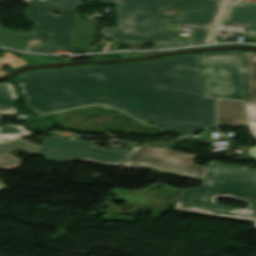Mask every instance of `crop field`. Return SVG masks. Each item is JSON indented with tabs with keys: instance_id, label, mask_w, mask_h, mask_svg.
Segmentation results:
<instances>
[{
	"instance_id": "1",
	"label": "crop field",
	"mask_w": 256,
	"mask_h": 256,
	"mask_svg": "<svg viewBox=\"0 0 256 256\" xmlns=\"http://www.w3.org/2000/svg\"><path fill=\"white\" fill-rule=\"evenodd\" d=\"M35 113L99 103L186 135L215 125L200 55L155 62L31 71L17 78Z\"/></svg>"
},
{
	"instance_id": "2",
	"label": "crop field",
	"mask_w": 256,
	"mask_h": 256,
	"mask_svg": "<svg viewBox=\"0 0 256 256\" xmlns=\"http://www.w3.org/2000/svg\"><path fill=\"white\" fill-rule=\"evenodd\" d=\"M59 8L76 10L81 0H43ZM116 4L119 26L106 28L105 35L116 42H154V48L185 44L164 29L159 17L165 7L180 10L167 13L166 20L211 26L221 0H99Z\"/></svg>"
},
{
	"instance_id": "3",
	"label": "crop field",
	"mask_w": 256,
	"mask_h": 256,
	"mask_svg": "<svg viewBox=\"0 0 256 256\" xmlns=\"http://www.w3.org/2000/svg\"><path fill=\"white\" fill-rule=\"evenodd\" d=\"M218 197L250 204L246 209L224 206L215 202ZM174 211L251 221L256 227V169L210 162L203 185L182 190Z\"/></svg>"
},
{
	"instance_id": "4",
	"label": "crop field",
	"mask_w": 256,
	"mask_h": 256,
	"mask_svg": "<svg viewBox=\"0 0 256 256\" xmlns=\"http://www.w3.org/2000/svg\"><path fill=\"white\" fill-rule=\"evenodd\" d=\"M207 96L245 101L247 73L243 51L201 54Z\"/></svg>"
},
{
	"instance_id": "5",
	"label": "crop field",
	"mask_w": 256,
	"mask_h": 256,
	"mask_svg": "<svg viewBox=\"0 0 256 256\" xmlns=\"http://www.w3.org/2000/svg\"><path fill=\"white\" fill-rule=\"evenodd\" d=\"M96 142L97 140L70 141L51 135L45 138L38 154L53 160H86L99 164L119 166L134 152L92 147Z\"/></svg>"
},
{
	"instance_id": "6",
	"label": "crop field",
	"mask_w": 256,
	"mask_h": 256,
	"mask_svg": "<svg viewBox=\"0 0 256 256\" xmlns=\"http://www.w3.org/2000/svg\"><path fill=\"white\" fill-rule=\"evenodd\" d=\"M143 152H146V154ZM193 157V155L168 151L164 148L144 146L123 166L154 169L201 181L207 167L193 164Z\"/></svg>"
},
{
	"instance_id": "7",
	"label": "crop field",
	"mask_w": 256,
	"mask_h": 256,
	"mask_svg": "<svg viewBox=\"0 0 256 256\" xmlns=\"http://www.w3.org/2000/svg\"><path fill=\"white\" fill-rule=\"evenodd\" d=\"M39 145L23 139L0 145V169H13L21 165V159L10 154L19 149L29 154L36 153ZM6 185L0 181V189Z\"/></svg>"
},
{
	"instance_id": "8",
	"label": "crop field",
	"mask_w": 256,
	"mask_h": 256,
	"mask_svg": "<svg viewBox=\"0 0 256 256\" xmlns=\"http://www.w3.org/2000/svg\"><path fill=\"white\" fill-rule=\"evenodd\" d=\"M219 125H247L244 102L218 100Z\"/></svg>"
},
{
	"instance_id": "9",
	"label": "crop field",
	"mask_w": 256,
	"mask_h": 256,
	"mask_svg": "<svg viewBox=\"0 0 256 256\" xmlns=\"http://www.w3.org/2000/svg\"><path fill=\"white\" fill-rule=\"evenodd\" d=\"M52 9L59 10L44 2L31 1L26 17L36 23L34 32H51L55 18L50 14Z\"/></svg>"
},
{
	"instance_id": "10",
	"label": "crop field",
	"mask_w": 256,
	"mask_h": 256,
	"mask_svg": "<svg viewBox=\"0 0 256 256\" xmlns=\"http://www.w3.org/2000/svg\"><path fill=\"white\" fill-rule=\"evenodd\" d=\"M223 24L245 25L247 32L256 34V5H235Z\"/></svg>"
},
{
	"instance_id": "11",
	"label": "crop field",
	"mask_w": 256,
	"mask_h": 256,
	"mask_svg": "<svg viewBox=\"0 0 256 256\" xmlns=\"http://www.w3.org/2000/svg\"><path fill=\"white\" fill-rule=\"evenodd\" d=\"M16 90L12 83L0 84V113L16 114Z\"/></svg>"
},
{
	"instance_id": "12",
	"label": "crop field",
	"mask_w": 256,
	"mask_h": 256,
	"mask_svg": "<svg viewBox=\"0 0 256 256\" xmlns=\"http://www.w3.org/2000/svg\"><path fill=\"white\" fill-rule=\"evenodd\" d=\"M249 70L248 99L256 103V52L246 51Z\"/></svg>"
},
{
	"instance_id": "13",
	"label": "crop field",
	"mask_w": 256,
	"mask_h": 256,
	"mask_svg": "<svg viewBox=\"0 0 256 256\" xmlns=\"http://www.w3.org/2000/svg\"><path fill=\"white\" fill-rule=\"evenodd\" d=\"M35 134L24 129V126L12 124L0 126V142Z\"/></svg>"
},
{
	"instance_id": "14",
	"label": "crop field",
	"mask_w": 256,
	"mask_h": 256,
	"mask_svg": "<svg viewBox=\"0 0 256 256\" xmlns=\"http://www.w3.org/2000/svg\"><path fill=\"white\" fill-rule=\"evenodd\" d=\"M74 11L63 10L61 16H56L53 31L56 33L70 32Z\"/></svg>"
},
{
	"instance_id": "15",
	"label": "crop field",
	"mask_w": 256,
	"mask_h": 256,
	"mask_svg": "<svg viewBox=\"0 0 256 256\" xmlns=\"http://www.w3.org/2000/svg\"><path fill=\"white\" fill-rule=\"evenodd\" d=\"M54 48L74 50L72 34H52Z\"/></svg>"
},
{
	"instance_id": "16",
	"label": "crop field",
	"mask_w": 256,
	"mask_h": 256,
	"mask_svg": "<svg viewBox=\"0 0 256 256\" xmlns=\"http://www.w3.org/2000/svg\"><path fill=\"white\" fill-rule=\"evenodd\" d=\"M30 38L44 39V41H43V44L41 47L29 46L28 50L41 51V52H52L53 51L51 34H32Z\"/></svg>"
},
{
	"instance_id": "17",
	"label": "crop field",
	"mask_w": 256,
	"mask_h": 256,
	"mask_svg": "<svg viewBox=\"0 0 256 256\" xmlns=\"http://www.w3.org/2000/svg\"><path fill=\"white\" fill-rule=\"evenodd\" d=\"M210 30V27H197L194 26L191 44H203L206 36Z\"/></svg>"
},
{
	"instance_id": "18",
	"label": "crop field",
	"mask_w": 256,
	"mask_h": 256,
	"mask_svg": "<svg viewBox=\"0 0 256 256\" xmlns=\"http://www.w3.org/2000/svg\"><path fill=\"white\" fill-rule=\"evenodd\" d=\"M4 63H10L12 67L26 64L19 57L15 56V53H3V60H0V75L7 73L1 70V65Z\"/></svg>"
},
{
	"instance_id": "19",
	"label": "crop field",
	"mask_w": 256,
	"mask_h": 256,
	"mask_svg": "<svg viewBox=\"0 0 256 256\" xmlns=\"http://www.w3.org/2000/svg\"><path fill=\"white\" fill-rule=\"evenodd\" d=\"M30 35L7 37L13 48L26 50Z\"/></svg>"
},
{
	"instance_id": "20",
	"label": "crop field",
	"mask_w": 256,
	"mask_h": 256,
	"mask_svg": "<svg viewBox=\"0 0 256 256\" xmlns=\"http://www.w3.org/2000/svg\"><path fill=\"white\" fill-rule=\"evenodd\" d=\"M234 1L230 0H222V3L220 5L219 11L217 13V16L215 18V21L213 23V26H218L220 20L223 18V16L229 11Z\"/></svg>"
},
{
	"instance_id": "21",
	"label": "crop field",
	"mask_w": 256,
	"mask_h": 256,
	"mask_svg": "<svg viewBox=\"0 0 256 256\" xmlns=\"http://www.w3.org/2000/svg\"><path fill=\"white\" fill-rule=\"evenodd\" d=\"M249 128L253 135L256 136V105L247 103Z\"/></svg>"
},
{
	"instance_id": "22",
	"label": "crop field",
	"mask_w": 256,
	"mask_h": 256,
	"mask_svg": "<svg viewBox=\"0 0 256 256\" xmlns=\"http://www.w3.org/2000/svg\"><path fill=\"white\" fill-rule=\"evenodd\" d=\"M2 28L0 26V45L7 46V47H11V46L9 45L8 41L6 40V38L4 36L32 33V31L20 32V31L6 30V29H2Z\"/></svg>"
},
{
	"instance_id": "23",
	"label": "crop field",
	"mask_w": 256,
	"mask_h": 256,
	"mask_svg": "<svg viewBox=\"0 0 256 256\" xmlns=\"http://www.w3.org/2000/svg\"><path fill=\"white\" fill-rule=\"evenodd\" d=\"M24 56V55H22ZM31 60L33 63H47V62H58L57 59H52V58H46V57H40V56H34V55H29V56H24Z\"/></svg>"
},
{
	"instance_id": "24",
	"label": "crop field",
	"mask_w": 256,
	"mask_h": 256,
	"mask_svg": "<svg viewBox=\"0 0 256 256\" xmlns=\"http://www.w3.org/2000/svg\"><path fill=\"white\" fill-rule=\"evenodd\" d=\"M214 30H215V28H211V30H210V32H209V34L207 36V39H206L204 44L212 43L213 42Z\"/></svg>"
},
{
	"instance_id": "25",
	"label": "crop field",
	"mask_w": 256,
	"mask_h": 256,
	"mask_svg": "<svg viewBox=\"0 0 256 256\" xmlns=\"http://www.w3.org/2000/svg\"><path fill=\"white\" fill-rule=\"evenodd\" d=\"M250 155H252L254 158H256V147L249 150Z\"/></svg>"
},
{
	"instance_id": "26",
	"label": "crop field",
	"mask_w": 256,
	"mask_h": 256,
	"mask_svg": "<svg viewBox=\"0 0 256 256\" xmlns=\"http://www.w3.org/2000/svg\"><path fill=\"white\" fill-rule=\"evenodd\" d=\"M22 60H24L27 64H29L30 62H28L27 60H25L24 58L20 57Z\"/></svg>"
},
{
	"instance_id": "27",
	"label": "crop field",
	"mask_w": 256,
	"mask_h": 256,
	"mask_svg": "<svg viewBox=\"0 0 256 256\" xmlns=\"http://www.w3.org/2000/svg\"><path fill=\"white\" fill-rule=\"evenodd\" d=\"M23 1H27V2H30L31 0H23Z\"/></svg>"
},
{
	"instance_id": "28",
	"label": "crop field",
	"mask_w": 256,
	"mask_h": 256,
	"mask_svg": "<svg viewBox=\"0 0 256 256\" xmlns=\"http://www.w3.org/2000/svg\"><path fill=\"white\" fill-rule=\"evenodd\" d=\"M0 120H1V117H0Z\"/></svg>"
},
{
	"instance_id": "29",
	"label": "crop field",
	"mask_w": 256,
	"mask_h": 256,
	"mask_svg": "<svg viewBox=\"0 0 256 256\" xmlns=\"http://www.w3.org/2000/svg\"><path fill=\"white\" fill-rule=\"evenodd\" d=\"M42 1V0H41Z\"/></svg>"
}]
</instances>
